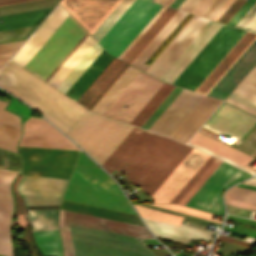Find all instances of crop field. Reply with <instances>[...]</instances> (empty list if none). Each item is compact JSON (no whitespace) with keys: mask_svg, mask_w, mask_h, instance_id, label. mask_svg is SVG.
<instances>
[{"mask_svg":"<svg viewBox=\"0 0 256 256\" xmlns=\"http://www.w3.org/2000/svg\"><path fill=\"white\" fill-rule=\"evenodd\" d=\"M191 149L134 127L101 166L118 169L152 196Z\"/></svg>","mask_w":256,"mask_h":256,"instance_id":"obj_1","label":"crop field"},{"mask_svg":"<svg viewBox=\"0 0 256 256\" xmlns=\"http://www.w3.org/2000/svg\"><path fill=\"white\" fill-rule=\"evenodd\" d=\"M63 198L136 214L118 185L82 151Z\"/></svg>","mask_w":256,"mask_h":256,"instance_id":"obj_2","label":"crop field"},{"mask_svg":"<svg viewBox=\"0 0 256 256\" xmlns=\"http://www.w3.org/2000/svg\"><path fill=\"white\" fill-rule=\"evenodd\" d=\"M132 128L90 111L69 136L101 165Z\"/></svg>","mask_w":256,"mask_h":256,"instance_id":"obj_3","label":"crop field"},{"mask_svg":"<svg viewBox=\"0 0 256 256\" xmlns=\"http://www.w3.org/2000/svg\"><path fill=\"white\" fill-rule=\"evenodd\" d=\"M6 105L7 102L0 100V147L17 152L16 145L21 134L20 118L4 109ZM2 170H0V252L12 256L9 224L13 198L10 184L17 173Z\"/></svg>","mask_w":256,"mask_h":256,"instance_id":"obj_4","label":"crop field"},{"mask_svg":"<svg viewBox=\"0 0 256 256\" xmlns=\"http://www.w3.org/2000/svg\"><path fill=\"white\" fill-rule=\"evenodd\" d=\"M59 229L140 246L145 245L139 239L152 237L142 226L62 209L59 214Z\"/></svg>","mask_w":256,"mask_h":256,"instance_id":"obj_5","label":"crop field"},{"mask_svg":"<svg viewBox=\"0 0 256 256\" xmlns=\"http://www.w3.org/2000/svg\"><path fill=\"white\" fill-rule=\"evenodd\" d=\"M244 32L224 24L173 84L195 90Z\"/></svg>","mask_w":256,"mask_h":256,"instance_id":"obj_6","label":"crop field"},{"mask_svg":"<svg viewBox=\"0 0 256 256\" xmlns=\"http://www.w3.org/2000/svg\"><path fill=\"white\" fill-rule=\"evenodd\" d=\"M85 32L69 15L23 68L45 80Z\"/></svg>","mask_w":256,"mask_h":256,"instance_id":"obj_7","label":"crop field"},{"mask_svg":"<svg viewBox=\"0 0 256 256\" xmlns=\"http://www.w3.org/2000/svg\"><path fill=\"white\" fill-rule=\"evenodd\" d=\"M10 66L14 67L15 69H17L18 71H20L21 73L25 74L26 76H28L29 78H31L32 80L36 81L37 83H39L40 85H42L43 87L47 88L48 90H50L51 92H53L54 94H56L57 96L61 97L62 99H64L65 101H67L68 103L72 104L73 106H75L76 108H78L79 110L83 111L84 113H88L90 110L86 109L85 107H83L82 105L78 104L77 102H75L74 100L70 99L69 97H67L66 95L62 94L61 92L57 91L56 89H54L53 87L49 86L48 84H46L45 82L41 81L40 79L36 78L35 76H33L32 74L28 73L27 71H25L24 69L20 68L19 66H17L16 64L12 63L11 61H8V63ZM0 82L2 84H4L5 86H7L8 88L12 89L13 91H15L16 93H18L19 95L23 96L24 98H26L27 100H29L30 102L34 103L35 105H37L38 107H40L41 109H43L44 111L48 112L49 114H51L52 116H54L55 118L59 119L60 121H62L63 123H65L66 125L70 126L71 128H75L77 126V124L80 122L78 120H76L75 118H73L72 116H70L69 114L65 113L64 111H62L61 109L57 108L56 106H54L53 104H51L50 102L46 101L45 99H43L42 97L38 96L37 94H35L34 92L30 91L29 89H27L26 87H24L23 85L19 84L18 82H16L15 80L11 79L10 77H8L7 75L3 74L2 72H0ZM0 83V86L3 87L4 89L8 90L9 92H11L12 94L18 96L19 98H21L22 100H24L25 102H27L29 105H31L35 110H37L40 114H42L44 117H46L49 121H51L53 124H55L57 127H59L61 130H63L65 133H67L68 135L70 134V132L73 130L70 127L66 126L65 124H63L62 122H60L59 120L55 119L54 117H52L51 115H49L48 113L44 112L43 110H41L40 108H38L37 106L33 105L32 103H30L29 101H27L26 99H24L23 97L19 96L18 94H16L15 92H13L12 90L8 89L7 87H5L4 85H2ZM66 134V135H67ZM67 135V136H68Z\"/></svg>","mask_w":256,"mask_h":256,"instance_id":"obj_8","label":"crop field"},{"mask_svg":"<svg viewBox=\"0 0 256 256\" xmlns=\"http://www.w3.org/2000/svg\"><path fill=\"white\" fill-rule=\"evenodd\" d=\"M161 6L145 0H135L99 43L118 57Z\"/></svg>","mask_w":256,"mask_h":256,"instance_id":"obj_9","label":"crop field"},{"mask_svg":"<svg viewBox=\"0 0 256 256\" xmlns=\"http://www.w3.org/2000/svg\"><path fill=\"white\" fill-rule=\"evenodd\" d=\"M21 174L69 179L79 151L19 147Z\"/></svg>","mask_w":256,"mask_h":256,"instance_id":"obj_10","label":"crop field"},{"mask_svg":"<svg viewBox=\"0 0 256 256\" xmlns=\"http://www.w3.org/2000/svg\"><path fill=\"white\" fill-rule=\"evenodd\" d=\"M249 176L222 162L185 205L223 215L221 197L225 188Z\"/></svg>","mask_w":256,"mask_h":256,"instance_id":"obj_11","label":"crop field"},{"mask_svg":"<svg viewBox=\"0 0 256 256\" xmlns=\"http://www.w3.org/2000/svg\"><path fill=\"white\" fill-rule=\"evenodd\" d=\"M162 84L140 71L104 115L130 123Z\"/></svg>","mask_w":256,"mask_h":256,"instance_id":"obj_12","label":"crop field"},{"mask_svg":"<svg viewBox=\"0 0 256 256\" xmlns=\"http://www.w3.org/2000/svg\"><path fill=\"white\" fill-rule=\"evenodd\" d=\"M208 157L209 155L193 148L152 196L153 203L170 202Z\"/></svg>","mask_w":256,"mask_h":256,"instance_id":"obj_13","label":"crop field"},{"mask_svg":"<svg viewBox=\"0 0 256 256\" xmlns=\"http://www.w3.org/2000/svg\"><path fill=\"white\" fill-rule=\"evenodd\" d=\"M19 146L80 150L45 120L34 116L24 123Z\"/></svg>","mask_w":256,"mask_h":256,"instance_id":"obj_14","label":"crop field"},{"mask_svg":"<svg viewBox=\"0 0 256 256\" xmlns=\"http://www.w3.org/2000/svg\"><path fill=\"white\" fill-rule=\"evenodd\" d=\"M204 95L183 89L149 130L169 137Z\"/></svg>","mask_w":256,"mask_h":256,"instance_id":"obj_15","label":"crop field"},{"mask_svg":"<svg viewBox=\"0 0 256 256\" xmlns=\"http://www.w3.org/2000/svg\"><path fill=\"white\" fill-rule=\"evenodd\" d=\"M120 1L62 0L61 4L92 34Z\"/></svg>","mask_w":256,"mask_h":256,"instance_id":"obj_16","label":"crop field"},{"mask_svg":"<svg viewBox=\"0 0 256 256\" xmlns=\"http://www.w3.org/2000/svg\"><path fill=\"white\" fill-rule=\"evenodd\" d=\"M255 123L256 117L224 103L206 127L241 139Z\"/></svg>","mask_w":256,"mask_h":256,"instance_id":"obj_17","label":"crop field"},{"mask_svg":"<svg viewBox=\"0 0 256 256\" xmlns=\"http://www.w3.org/2000/svg\"><path fill=\"white\" fill-rule=\"evenodd\" d=\"M68 15L69 14L60 5H58L39 26V28L31 35V37L23 44V46L15 53L11 60L23 67Z\"/></svg>","mask_w":256,"mask_h":256,"instance_id":"obj_18","label":"crop field"},{"mask_svg":"<svg viewBox=\"0 0 256 256\" xmlns=\"http://www.w3.org/2000/svg\"><path fill=\"white\" fill-rule=\"evenodd\" d=\"M255 63L256 39L210 90L208 95L224 99Z\"/></svg>","mask_w":256,"mask_h":256,"instance_id":"obj_19","label":"crop field"},{"mask_svg":"<svg viewBox=\"0 0 256 256\" xmlns=\"http://www.w3.org/2000/svg\"><path fill=\"white\" fill-rule=\"evenodd\" d=\"M153 234L181 243H187L192 239L211 240L214 232L180 223L179 226L142 217Z\"/></svg>","mask_w":256,"mask_h":256,"instance_id":"obj_20","label":"crop field"},{"mask_svg":"<svg viewBox=\"0 0 256 256\" xmlns=\"http://www.w3.org/2000/svg\"><path fill=\"white\" fill-rule=\"evenodd\" d=\"M221 25V23L210 20L208 24L201 30V32L195 37V39L182 52V54L169 67V69L162 75L160 80L172 83Z\"/></svg>","mask_w":256,"mask_h":256,"instance_id":"obj_21","label":"crop field"},{"mask_svg":"<svg viewBox=\"0 0 256 256\" xmlns=\"http://www.w3.org/2000/svg\"><path fill=\"white\" fill-rule=\"evenodd\" d=\"M208 21L197 16L148 74L159 79Z\"/></svg>","mask_w":256,"mask_h":256,"instance_id":"obj_22","label":"crop field"},{"mask_svg":"<svg viewBox=\"0 0 256 256\" xmlns=\"http://www.w3.org/2000/svg\"><path fill=\"white\" fill-rule=\"evenodd\" d=\"M222 101L205 96L170 138L187 142Z\"/></svg>","mask_w":256,"mask_h":256,"instance_id":"obj_23","label":"crop field"},{"mask_svg":"<svg viewBox=\"0 0 256 256\" xmlns=\"http://www.w3.org/2000/svg\"><path fill=\"white\" fill-rule=\"evenodd\" d=\"M190 142H192V143H194V144H196L198 146H202V147H204V148H206V149H208V150H210L212 152H215V153H217V154H219V155H221V156H223V157H225L227 159H230V160H232V161H234V162H236V163H238L240 165H243V166H245V167H247V168H249V169H251V170L256 172V169L245 165L252 158V156H250V155H248L246 153H243V152H241V151H239L237 149H234V148H232V147H230L228 145H225V144H223V143H221V142H219L217 140H214V139H212V138H210L208 136H205V135H203V134H201L199 132H197L194 135V137L190 140ZM190 142H188V143H190ZM192 143H190V144H192ZM194 144H192V145H194ZM196 145H194V146H196ZM198 146H196V147H198ZM202 147H198V148H200L202 150H205V151H207V152H209V153H211V154H213V155H215V156H217L219 158H222V159H224V160H226V161H228V162H230V163H232L234 165H237V166H239V167H241V168H243V169H245V170H247V171H249L251 173H255V172H253V171H251V170H249V169H247L245 167H242V166H240V165H238V164H236V163H234V162H232L230 160H227V159H225V158H223V157H221V156H219L217 154H214V153H212V152H210V151H208V150H206V149H204Z\"/></svg>","mask_w":256,"mask_h":256,"instance_id":"obj_24","label":"crop field"},{"mask_svg":"<svg viewBox=\"0 0 256 256\" xmlns=\"http://www.w3.org/2000/svg\"><path fill=\"white\" fill-rule=\"evenodd\" d=\"M256 34L246 32L236 45L228 52L214 70L199 85L196 91L207 94L248 45L255 39Z\"/></svg>","mask_w":256,"mask_h":256,"instance_id":"obj_25","label":"crop field"},{"mask_svg":"<svg viewBox=\"0 0 256 256\" xmlns=\"http://www.w3.org/2000/svg\"><path fill=\"white\" fill-rule=\"evenodd\" d=\"M95 42L86 32L45 81L56 88Z\"/></svg>","mask_w":256,"mask_h":256,"instance_id":"obj_26","label":"crop field"},{"mask_svg":"<svg viewBox=\"0 0 256 256\" xmlns=\"http://www.w3.org/2000/svg\"><path fill=\"white\" fill-rule=\"evenodd\" d=\"M113 58L103 49L65 94L77 101Z\"/></svg>","mask_w":256,"mask_h":256,"instance_id":"obj_27","label":"crop field"},{"mask_svg":"<svg viewBox=\"0 0 256 256\" xmlns=\"http://www.w3.org/2000/svg\"><path fill=\"white\" fill-rule=\"evenodd\" d=\"M59 232H60L61 238L63 239L77 241L81 243H86L90 245L109 248V249L127 252L131 254L141 255V256H153L152 253L148 250V248H145V247L105 240L101 238H96V237H91V236H86V235L61 231V230H59Z\"/></svg>","mask_w":256,"mask_h":256,"instance_id":"obj_28","label":"crop field"},{"mask_svg":"<svg viewBox=\"0 0 256 256\" xmlns=\"http://www.w3.org/2000/svg\"><path fill=\"white\" fill-rule=\"evenodd\" d=\"M176 11L177 9L167 7L122 60L131 64L133 60L140 54V52L147 46V44L154 38V36L161 30V28L168 22V20L175 14Z\"/></svg>","mask_w":256,"mask_h":256,"instance_id":"obj_29","label":"crop field"},{"mask_svg":"<svg viewBox=\"0 0 256 256\" xmlns=\"http://www.w3.org/2000/svg\"><path fill=\"white\" fill-rule=\"evenodd\" d=\"M52 8L0 17V31L39 24Z\"/></svg>","mask_w":256,"mask_h":256,"instance_id":"obj_30","label":"crop field"},{"mask_svg":"<svg viewBox=\"0 0 256 256\" xmlns=\"http://www.w3.org/2000/svg\"><path fill=\"white\" fill-rule=\"evenodd\" d=\"M186 14L187 12L178 10L162 30L155 36V38L148 44V46L141 52V54L134 60L132 65L140 68Z\"/></svg>","mask_w":256,"mask_h":256,"instance_id":"obj_31","label":"crop field"},{"mask_svg":"<svg viewBox=\"0 0 256 256\" xmlns=\"http://www.w3.org/2000/svg\"><path fill=\"white\" fill-rule=\"evenodd\" d=\"M62 240L64 256H136L86 244Z\"/></svg>","mask_w":256,"mask_h":256,"instance_id":"obj_32","label":"crop field"},{"mask_svg":"<svg viewBox=\"0 0 256 256\" xmlns=\"http://www.w3.org/2000/svg\"><path fill=\"white\" fill-rule=\"evenodd\" d=\"M138 72L139 70L130 66L119 78V80L111 87V89L103 96V98L95 105L92 111L103 114Z\"/></svg>","mask_w":256,"mask_h":256,"instance_id":"obj_33","label":"crop field"},{"mask_svg":"<svg viewBox=\"0 0 256 256\" xmlns=\"http://www.w3.org/2000/svg\"><path fill=\"white\" fill-rule=\"evenodd\" d=\"M32 233L42 256H62V247L57 230Z\"/></svg>","mask_w":256,"mask_h":256,"instance_id":"obj_34","label":"crop field"},{"mask_svg":"<svg viewBox=\"0 0 256 256\" xmlns=\"http://www.w3.org/2000/svg\"><path fill=\"white\" fill-rule=\"evenodd\" d=\"M32 231L57 229L58 209L27 210Z\"/></svg>","mask_w":256,"mask_h":256,"instance_id":"obj_35","label":"crop field"},{"mask_svg":"<svg viewBox=\"0 0 256 256\" xmlns=\"http://www.w3.org/2000/svg\"><path fill=\"white\" fill-rule=\"evenodd\" d=\"M102 49L103 48L96 42L56 89L65 93Z\"/></svg>","mask_w":256,"mask_h":256,"instance_id":"obj_36","label":"crop field"},{"mask_svg":"<svg viewBox=\"0 0 256 256\" xmlns=\"http://www.w3.org/2000/svg\"><path fill=\"white\" fill-rule=\"evenodd\" d=\"M174 88L175 86L164 83L145 107L139 112V114L133 119L131 124L141 127Z\"/></svg>","mask_w":256,"mask_h":256,"instance_id":"obj_37","label":"crop field"},{"mask_svg":"<svg viewBox=\"0 0 256 256\" xmlns=\"http://www.w3.org/2000/svg\"><path fill=\"white\" fill-rule=\"evenodd\" d=\"M122 64L123 62L114 58L77 102L86 106Z\"/></svg>","mask_w":256,"mask_h":256,"instance_id":"obj_38","label":"crop field"},{"mask_svg":"<svg viewBox=\"0 0 256 256\" xmlns=\"http://www.w3.org/2000/svg\"><path fill=\"white\" fill-rule=\"evenodd\" d=\"M134 2V0H122L117 7L110 13V15L103 21V23L92 34L99 42L101 38L108 32L114 23L121 17L127 8Z\"/></svg>","mask_w":256,"mask_h":256,"instance_id":"obj_39","label":"crop field"},{"mask_svg":"<svg viewBox=\"0 0 256 256\" xmlns=\"http://www.w3.org/2000/svg\"><path fill=\"white\" fill-rule=\"evenodd\" d=\"M234 92L256 102V66L237 86Z\"/></svg>","mask_w":256,"mask_h":256,"instance_id":"obj_40","label":"crop field"},{"mask_svg":"<svg viewBox=\"0 0 256 256\" xmlns=\"http://www.w3.org/2000/svg\"><path fill=\"white\" fill-rule=\"evenodd\" d=\"M134 206L137 209V211L140 213V215H142V216L158 219L161 221H165V222H169V223H173V224H177V225H179V223L183 219V217L160 212V211L149 209L146 207H142V206H138V205H134Z\"/></svg>","mask_w":256,"mask_h":256,"instance_id":"obj_41","label":"crop field"},{"mask_svg":"<svg viewBox=\"0 0 256 256\" xmlns=\"http://www.w3.org/2000/svg\"><path fill=\"white\" fill-rule=\"evenodd\" d=\"M36 26L2 31L0 32V43L26 39Z\"/></svg>","mask_w":256,"mask_h":256,"instance_id":"obj_42","label":"crop field"},{"mask_svg":"<svg viewBox=\"0 0 256 256\" xmlns=\"http://www.w3.org/2000/svg\"><path fill=\"white\" fill-rule=\"evenodd\" d=\"M215 160L216 158L210 156L208 160L203 164V166L197 171V173L190 179V181L182 188V190L174 197L171 202L178 203Z\"/></svg>","mask_w":256,"mask_h":256,"instance_id":"obj_43","label":"crop field"},{"mask_svg":"<svg viewBox=\"0 0 256 256\" xmlns=\"http://www.w3.org/2000/svg\"><path fill=\"white\" fill-rule=\"evenodd\" d=\"M225 197L256 204V191L237 186L227 191Z\"/></svg>","mask_w":256,"mask_h":256,"instance_id":"obj_44","label":"crop field"},{"mask_svg":"<svg viewBox=\"0 0 256 256\" xmlns=\"http://www.w3.org/2000/svg\"><path fill=\"white\" fill-rule=\"evenodd\" d=\"M129 67L127 64H123L121 68L113 75V77L106 83V85L98 92V94L90 101L86 106L90 110L94 105L102 98V96L110 89V87L118 80V78L125 72Z\"/></svg>","mask_w":256,"mask_h":256,"instance_id":"obj_45","label":"crop field"},{"mask_svg":"<svg viewBox=\"0 0 256 256\" xmlns=\"http://www.w3.org/2000/svg\"><path fill=\"white\" fill-rule=\"evenodd\" d=\"M0 93L4 94L5 96L11 98V102L9 104V106L6 108L18 115L21 116L22 118V123L29 118L32 110H30L28 107H26L24 104H22L20 101H18L16 98L10 96L9 94L3 92L0 90ZM32 115V114H31Z\"/></svg>","mask_w":256,"mask_h":256,"instance_id":"obj_46","label":"crop field"},{"mask_svg":"<svg viewBox=\"0 0 256 256\" xmlns=\"http://www.w3.org/2000/svg\"><path fill=\"white\" fill-rule=\"evenodd\" d=\"M236 27L256 32V3L245 14V16L238 22Z\"/></svg>","mask_w":256,"mask_h":256,"instance_id":"obj_47","label":"crop field"},{"mask_svg":"<svg viewBox=\"0 0 256 256\" xmlns=\"http://www.w3.org/2000/svg\"><path fill=\"white\" fill-rule=\"evenodd\" d=\"M222 161L216 160L214 164L206 171V173L198 180V182L190 189V191L182 198L179 204L184 205L187 200L195 193L202 183L210 176V174L218 167Z\"/></svg>","mask_w":256,"mask_h":256,"instance_id":"obj_48","label":"crop field"},{"mask_svg":"<svg viewBox=\"0 0 256 256\" xmlns=\"http://www.w3.org/2000/svg\"><path fill=\"white\" fill-rule=\"evenodd\" d=\"M23 41L0 44V67L7 61Z\"/></svg>","mask_w":256,"mask_h":256,"instance_id":"obj_49","label":"crop field"},{"mask_svg":"<svg viewBox=\"0 0 256 256\" xmlns=\"http://www.w3.org/2000/svg\"><path fill=\"white\" fill-rule=\"evenodd\" d=\"M245 1L246 0H235L218 21L226 23Z\"/></svg>","mask_w":256,"mask_h":256,"instance_id":"obj_50","label":"crop field"},{"mask_svg":"<svg viewBox=\"0 0 256 256\" xmlns=\"http://www.w3.org/2000/svg\"><path fill=\"white\" fill-rule=\"evenodd\" d=\"M256 0H247L245 4L238 10V12L231 18L228 24L235 26L243 15L249 10Z\"/></svg>","mask_w":256,"mask_h":256,"instance_id":"obj_51","label":"crop field"},{"mask_svg":"<svg viewBox=\"0 0 256 256\" xmlns=\"http://www.w3.org/2000/svg\"><path fill=\"white\" fill-rule=\"evenodd\" d=\"M166 7L163 6L158 13L151 19V21L144 27V29L136 36V38L129 44V46L122 52L119 58H123L124 55L131 49V47L137 42V40L144 34V32L151 26V24L157 19V17L164 11Z\"/></svg>","mask_w":256,"mask_h":256,"instance_id":"obj_52","label":"crop field"},{"mask_svg":"<svg viewBox=\"0 0 256 256\" xmlns=\"http://www.w3.org/2000/svg\"><path fill=\"white\" fill-rule=\"evenodd\" d=\"M22 177V175H19V177L16 179L15 183H14V190H15V194H16V215H22V214H27L26 210L24 208L23 202L21 200V197L18 196V189H17V183L19 181V179Z\"/></svg>","mask_w":256,"mask_h":256,"instance_id":"obj_53","label":"crop field"},{"mask_svg":"<svg viewBox=\"0 0 256 256\" xmlns=\"http://www.w3.org/2000/svg\"><path fill=\"white\" fill-rule=\"evenodd\" d=\"M196 15H194L191 20L184 26V28L177 34V36L170 42V44L163 50V52L156 58V60L149 66L145 72H149L150 69L156 64V62L163 56V54L169 49V47L175 42V40L181 35V33L188 27V25L194 20Z\"/></svg>","mask_w":256,"mask_h":256,"instance_id":"obj_54","label":"crop field"},{"mask_svg":"<svg viewBox=\"0 0 256 256\" xmlns=\"http://www.w3.org/2000/svg\"><path fill=\"white\" fill-rule=\"evenodd\" d=\"M226 204L256 211V205L225 198Z\"/></svg>","mask_w":256,"mask_h":256,"instance_id":"obj_55","label":"crop field"},{"mask_svg":"<svg viewBox=\"0 0 256 256\" xmlns=\"http://www.w3.org/2000/svg\"><path fill=\"white\" fill-rule=\"evenodd\" d=\"M229 98H231V99H233V100H235L237 102H240V103H242V104H244V105H246V106L256 110V103L255 102H253V101H251L249 99H246V98H244V97H242V96H240V95H238V94H236L234 92L231 93Z\"/></svg>","mask_w":256,"mask_h":256,"instance_id":"obj_56","label":"crop field"},{"mask_svg":"<svg viewBox=\"0 0 256 256\" xmlns=\"http://www.w3.org/2000/svg\"><path fill=\"white\" fill-rule=\"evenodd\" d=\"M154 206H158V207L166 208V209H169V210H173V211H177V212L185 213V214H188V215H192V216L200 217V218H203V219H207V220H211V221H215V222H219V223L221 222V221L216 220V219H213V218H209V217L201 216V215H198V214L190 213V212H187V211H183V210H180V209L172 208V207L165 206V205H161V204H154Z\"/></svg>","mask_w":256,"mask_h":256,"instance_id":"obj_57","label":"crop field"},{"mask_svg":"<svg viewBox=\"0 0 256 256\" xmlns=\"http://www.w3.org/2000/svg\"><path fill=\"white\" fill-rule=\"evenodd\" d=\"M201 0H184L178 9L191 12Z\"/></svg>","mask_w":256,"mask_h":256,"instance_id":"obj_58","label":"crop field"},{"mask_svg":"<svg viewBox=\"0 0 256 256\" xmlns=\"http://www.w3.org/2000/svg\"><path fill=\"white\" fill-rule=\"evenodd\" d=\"M218 239H221V240H224V241H227V242H230V243H234V244H237V245H240V246H244V247H247V248H249L253 245L252 243H248V242L228 238V237L221 236V235H219Z\"/></svg>","mask_w":256,"mask_h":256,"instance_id":"obj_59","label":"crop field"},{"mask_svg":"<svg viewBox=\"0 0 256 256\" xmlns=\"http://www.w3.org/2000/svg\"><path fill=\"white\" fill-rule=\"evenodd\" d=\"M212 0H202L192 11V13L200 15L203 10L210 4ZM206 10V9H205Z\"/></svg>","mask_w":256,"mask_h":256,"instance_id":"obj_60","label":"crop field"},{"mask_svg":"<svg viewBox=\"0 0 256 256\" xmlns=\"http://www.w3.org/2000/svg\"><path fill=\"white\" fill-rule=\"evenodd\" d=\"M165 205H169V206H172V207L184 209V210H187V211L195 212V213L210 216V217L213 215L211 213H207V212H204V211H200V210H196V209H192V208H188V207H184V206H180V205H176V204H165Z\"/></svg>","mask_w":256,"mask_h":256,"instance_id":"obj_61","label":"crop field"},{"mask_svg":"<svg viewBox=\"0 0 256 256\" xmlns=\"http://www.w3.org/2000/svg\"><path fill=\"white\" fill-rule=\"evenodd\" d=\"M234 0H227L226 3L220 8V10L214 15V17L212 18V20L217 21L219 19V17L224 13V11L230 6V4L233 2Z\"/></svg>","mask_w":256,"mask_h":256,"instance_id":"obj_62","label":"crop field"},{"mask_svg":"<svg viewBox=\"0 0 256 256\" xmlns=\"http://www.w3.org/2000/svg\"><path fill=\"white\" fill-rule=\"evenodd\" d=\"M226 102H228V103H230V104H232V105H234L236 107H239V108H241V109H243V110H245V111H247L249 113H252V114L256 115V111L255 110L250 109V108H248V107H246V106H244V105H242L240 103H237V102H235V101H233V100H231L229 98L226 99Z\"/></svg>","mask_w":256,"mask_h":256,"instance_id":"obj_63","label":"crop field"},{"mask_svg":"<svg viewBox=\"0 0 256 256\" xmlns=\"http://www.w3.org/2000/svg\"><path fill=\"white\" fill-rule=\"evenodd\" d=\"M221 0H214L207 8L206 10L201 14V16L207 17L210 12L219 4Z\"/></svg>","mask_w":256,"mask_h":256,"instance_id":"obj_64","label":"crop field"},{"mask_svg":"<svg viewBox=\"0 0 256 256\" xmlns=\"http://www.w3.org/2000/svg\"><path fill=\"white\" fill-rule=\"evenodd\" d=\"M22 1H28V0H0V5L22 2Z\"/></svg>","mask_w":256,"mask_h":256,"instance_id":"obj_65","label":"crop field"},{"mask_svg":"<svg viewBox=\"0 0 256 256\" xmlns=\"http://www.w3.org/2000/svg\"><path fill=\"white\" fill-rule=\"evenodd\" d=\"M226 0H222L221 3L212 11V13L208 16V18H212L213 15L219 10V8L225 3Z\"/></svg>","mask_w":256,"mask_h":256,"instance_id":"obj_66","label":"crop field"},{"mask_svg":"<svg viewBox=\"0 0 256 256\" xmlns=\"http://www.w3.org/2000/svg\"><path fill=\"white\" fill-rule=\"evenodd\" d=\"M182 1L183 0H174L173 3L170 6L177 8Z\"/></svg>","mask_w":256,"mask_h":256,"instance_id":"obj_67","label":"crop field"},{"mask_svg":"<svg viewBox=\"0 0 256 256\" xmlns=\"http://www.w3.org/2000/svg\"><path fill=\"white\" fill-rule=\"evenodd\" d=\"M244 183H248V184H252V185H256V179L255 178H251L247 181H245Z\"/></svg>","mask_w":256,"mask_h":256,"instance_id":"obj_68","label":"crop field"},{"mask_svg":"<svg viewBox=\"0 0 256 256\" xmlns=\"http://www.w3.org/2000/svg\"><path fill=\"white\" fill-rule=\"evenodd\" d=\"M162 1V0H161ZM168 2V0H163L161 4L165 5Z\"/></svg>","mask_w":256,"mask_h":256,"instance_id":"obj_69","label":"crop field"},{"mask_svg":"<svg viewBox=\"0 0 256 256\" xmlns=\"http://www.w3.org/2000/svg\"><path fill=\"white\" fill-rule=\"evenodd\" d=\"M173 0H169V2L166 4L167 6H169L172 3Z\"/></svg>","mask_w":256,"mask_h":256,"instance_id":"obj_70","label":"crop field"},{"mask_svg":"<svg viewBox=\"0 0 256 256\" xmlns=\"http://www.w3.org/2000/svg\"><path fill=\"white\" fill-rule=\"evenodd\" d=\"M152 1H155V2H158V3H160V2H161V0H152Z\"/></svg>","mask_w":256,"mask_h":256,"instance_id":"obj_71","label":"crop field"},{"mask_svg":"<svg viewBox=\"0 0 256 256\" xmlns=\"http://www.w3.org/2000/svg\"><path fill=\"white\" fill-rule=\"evenodd\" d=\"M256 178V177H255Z\"/></svg>","mask_w":256,"mask_h":256,"instance_id":"obj_72","label":"crop field"}]
</instances>
